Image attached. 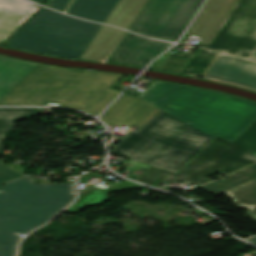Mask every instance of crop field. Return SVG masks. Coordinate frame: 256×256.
Returning <instances> with one entry per match:
<instances>
[{
  "label": "crop field",
  "instance_id": "8a807250",
  "mask_svg": "<svg viewBox=\"0 0 256 256\" xmlns=\"http://www.w3.org/2000/svg\"><path fill=\"white\" fill-rule=\"evenodd\" d=\"M255 119L256 102L158 80L139 97L124 94L101 117L107 125L142 127L113 155L175 173L216 134L232 141Z\"/></svg>",
  "mask_w": 256,
  "mask_h": 256
},
{
  "label": "crop field",
  "instance_id": "ac0d7876",
  "mask_svg": "<svg viewBox=\"0 0 256 256\" xmlns=\"http://www.w3.org/2000/svg\"><path fill=\"white\" fill-rule=\"evenodd\" d=\"M123 75L94 73L0 56V105H45L99 113L118 92L109 90Z\"/></svg>",
  "mask_w": 256,
  "mask_h": 256
},
{
  "label": "crop field",
  "instance_id": "34b2d1b8",
  "mask_svg": "<svg viewBox=\"0 0 256 256\" xmlns=\"http://www.w3.org/2000/svg\"><path fill=\"white\" fill-rule=\"evenodd\" d=\"M1 187L0 256H14L19 234L46 223L75 198L72 182L35 184L26 177Z\"/></svg>",
  "mask_w": 256,
  "mask_h": 256
},
{
  "label": "crop field",
  "instance_id": "412701ff",
  "mask_svg": "<svg viewBox=\"0 0 256 256\" xmlns=\"http://www.w3.org/2000/svg\"><path fill=\"white\" fill-rule=\"evenodd\" d=\"M99 27L43 8L9 40L8 46L79 59Z\"/></svg>",
  "mask_w": 256,
  "mask_h": 256
},
{
  "label": "crop field",
  "instance_id": "f4fd0767",
  "mask_svg": "<svg viewBox=\"0 0 256 256\" xmlns=\"http://www.w3.org/2000/svg\"><path fill=\"white\" fill-rule=\"evenodd\" d=\"M256 162V121L232 143L217 136L178 174L150 166L136 181L152 186L159 179L200 185L217 171L227 175ZM203 185V184H202Z\"/></svg>",
  "mask_w": 256,
  "mask_h": 256
},
{
  "label": "crop field",
  "instance_id": "dd49c442",
  "mask_svg": "<svg viewBox=\"0 0 256 256\" xmlns=\"http://www.w3.org/2000/svg\"><path fill=\"white\" fill-rule=\"evenodd\" d=\"M203 0H148L128 30L176 41Z\"/></svg>",
  "mask_w": 256,
  "mask_h": 256
},
{
  "label": "crop field",
  "instance_id": "e52e79f7",
  "mask_svg": "<svg viewBox=\"0 0 256 256\" xmlns=\"http://www.w3.org/2000/svg\"><path fill=\"white\" fill-rule=\"evenodd\" d=\"M198 46L248 57L256 47V0H238L210 44Z\"/></svg>",
  "mask_w": 256,
  "mask_h": 256
},
{
  "label": "crop field",
  "instance_id": "d8731c3e",
  "mask_svg": "<svg viewBox=\"0 0 256 256\" xmlns=\"http://www.w3.org/2000/svg\"><path fill=\"white\" fill-rule=\"evenodd\" d=\"M204 78L256 91V62L220 53Z\"/></svg>",
  "mask_w": 256,
  "mask_h": 256
},
{
  "label": "crop field",
  "instance_id": "5a996713",
  "mask_svg": "<svg viewBox=\"0 0 256 256\" xmlns=\"http://www.w3.org/2000/svg\"><path fill=\"white\" fill-rule=\"evenodd\" d=\"M237 0H208L187 35L202 38L201 43L209 44Z\"/></svg>",
  "mask_w": 256,
  "mask_h": 256
},
{
  "label": "crop field",
  "instance_id": "3316defc",
  "mask_svg": "<svg viewBox=\"0 0 256 256\" xmlns=\"http://www.w3.org/2000/svg\"><path fill=\"white\" fill-rule=\"evenodd\" d=\"M170 45L127 33L116 49L113 58L117 63L144 66L151 58Z\"/></svg>",
  "mask_w": 256,
  "mask_h": 256
},
{
  "label": "crop field",
  "instance_id": "28ad6ade",
  "mask_svg": "<svg viewBox=\"0 0 256 256\" xmlns=\"http://www.w3.org/2000/svg\"><path fill=\"white\" fill-rule=\"evenodd\" d=\"M39 8L26 0H0V44Z\"/></svg>",
  "mask_w": 256,
  "mask_h": 256
},
{
  "label": "crop field",
  "instance_id": "d1516ede",
  "mask_svg": "<svg viewBox=\"0 0 256 256\" xmlns=\"http://www.w3.org/2000/svg\"><path fill=\"white\" fill-rule=\"evenodd\" d=\"M123 33L124 30L102 25L81 59L101 61L106 58Z\"/></svg>",
  "mask_w": 256,
  "mask_h": 256
},
{
  "label": "crop field",
  "instance_id": "22f410ed",
  "mask_svg": "<svg viewBox=\"0 0 256 256\" xmlns=\"http://www.w3.org/2000/svg\"><path fill=\"white\" fill-rule=\"evenodd\" d=\"M118 0H75L68 14L104 23Z\"/></svg>",
  "mask_w": 256,
  "mask_h": 256
},
{
  "label": "crop field",
  "instance_id": "cbeb9de0",
  "mask_svg": "<svg viewBox=\"0 0 256 256\" xmlns=\"http://www.w3.org/2000/svg\"><path fill=\"white\" fill-rule=\"evenodd\" d=\"M146 0H119L105 24L128 29Z\"/></svg>",
  "mask_w": 256,
  "mask_h": 256
},
{
  "label": "crop field",
  "instance_id": "5142ce71",
  "mask_svg": "<svg viewBox=\"0 0 256 256\" xmlns=\"http://www.w3.org/2000/svg\"><path fill=\"white\" fill-rule=\"evenodd\" d=\"M144 187L145 186H142L137 183L126 180V181L122 182L121 184L117 185L116 187L108 189V190L88 189V190L80 193L79 199L66 210L69 211L70 213H75V212H77L78 208L102 204L109 200L107 197V193L114 191V190H124V189H129V188H144Z\"/></svg>",
  "mask_w": 256,
  "mask_h": 256
},
{
  "label": "crop field",
  "instance_id": "d9b57169",
  "mask_svg": "<svg viewBox=\"0 0 256 256\" xmlns=\"http://www.w3.org/2000/svg\"><path fill=\"white\" fill-rule=\"evenodd\" d=\"M226 194L235 202L237 207L249 208L246 212L251 218L256 220V179L242 184Z\"/></svg>",
  "mask_w": 256,
  "mask_h": 256
},
{
  "label": "crop field",
  "instance_id": "733c2abd",
  "mask_svg": "<svg viewBox=\"0 0 256 256\" xmlns=\"http://www.w3.org/2000/svg\"><path fill=\"white\" fill-rule=\"evenodd\" d=\"M40 113V108H0V140L4 139V133L13 129V123Z\"/></svg>",
  "mask_w": 256,
  "mask_h": 256
},
{
  "label": "crop field",
  "instance_id": "4a817a6b",
  "mask_svg": "<svg viewBox=\"0 0 256 256\" xmlns=\"http://www.w3.org/2000/svg\"><path fill=\"white\" fill-rule=\"evenodd\" d=\"M254 178H256V164L228 175L226 180L211 182L203 187L214 193H221Z\"/></svg>",
  "mask_w": 256,
  "mask_h": 256
},
{
  "label": "crop field",
  "instance_id": "bc2a9ffb",
  "mask_svg": "<svg viewBox=\"0 0 256 256\" xmlns=\"http://www.w3.org/2000/svg\"><path fill=\"white\" fill-rule=\"evenodd\" d=\"M215 55L216 52L213 51H207L201 48L196 49L195 53L180 73L190 76L204 74Z\"/></svg>",
  "mask_w": 256,
  "mask_h": 256
},
{
  "label": "crop field",
  "instance_id": "214f88e0",
  "mask_svg": "<svg viewBox=\"0 0 256 256\" xmlns=\"http://www.w3.org/2000/svg\"><path fill=\"white\" fill-rule=\"evenodd\" d=\"M191 55L192 53H186L185 56L170 54L161 70L178 74Z\"/></svg>",
  "mask_w": 256,
  "mask_h": 256
},
{
  "label": "crop field",
  "instance_id": "92a150f3",
  "mask_svg": "<svg viewBox=\"0 0 256 256\" xmlns=\"http://www.w3.org/2000/svg\"><path fill=\"white\" fill-rule=\"evenodd\" d=\"M23 176L21 173L0 164V183Z\"/></svg>",
  "mask_w": 256,
  "mask_h": 256
},
{
  "label": "crop field",
  "instance_id": "dafd665d",
  "mask_svg": "<svg viewBox=\"0 0 256 256\" xmlns=\"http://www.w3.org/2000/svg\"><path fill=\"white\" fill-rule=\"evenodd\" d=\"M70 2L71 0H50L47 2L46 6L63 12Z\"/></svg>",
  "mask_w": 256,
  "mask_h": 256
},
{
  "label": "crop field",
  "instance_id": "00972430",
  "mask_svg": "<svg viewBox=\"0 0 256 256\" xmlns=\"http://www.w3.org/2000/svg\"><path fill=\"white\" fill-rule=\"evenodd\" d=\"M168 54V53H167ZM163 55L159 60H157L152 66L151 68H154V69H159L160 65L162 64L163 60L165 59L166 55Z\"/></svg>",
  "mask_w": 256,
  "mask_h": 256
},
{
  "label": "crop field",
  "instance_id": "a9b5d70f",
  "mask_svg": "<svg viewBox=\"0 0 256 256\" xmlns=\"http://www.w3.org/2000/svg\"><path fill=\"white\" fill-rule=\"evenodd\" d=\"M92 177L98 178V175L87 174V175L81 177V178L79 179V182H86V181H88V180H89L90 178H92Z\"/></svg>",
  "mask_w": 256,
  "mask_h": 256
},
{
  "label": "crop field",
  "instance_id": "4177f3b9",
  "mask_svg": "<svg viewBox=\"0 0 256 256\" xmlns=\"http://www.w3.org/2000/svg\"><path fill=\"white\" fill-rule=\"evenodd\" d=\"M247 241L253 243L256 245V237H253V238H250V239H247Z\"/></svg>",
  "mask_w": 256,
  "mask_h": 256
},
{
  "label": "crop field",
  "instance_id": "730fd06b",
  "mask_svg": "<svg viewBox=\"0 0 256 256\" xmlns=\"http://www.w3.org/2000/svg\"><path fill=\"white\" fill-rule=\"evenodd\" d=\"M254 58H256V48L254 49V51L251 54Z\"/></svg>",
  "mask_w": 256,
  "mask_h": 256
},
{
  "label": "crop field",
  "instance_id": "eef30255",
  "mask_svg": "<svg viewBox=\"0 0 256 256\" xmlns=\"http://www.w3.org/2000/svg\"><path fill=\"white\" fill-rule=\"evenodd\" d=\"M32 1H34V2H36V3H40V2H42L43 0H32Z\"/></svg>",
  "mask_w": 256,
  "mask_h": 256
}]
</instances>
